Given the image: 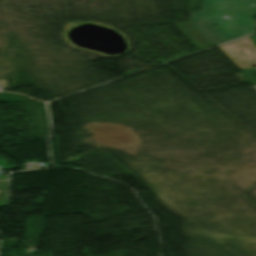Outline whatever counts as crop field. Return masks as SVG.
I'll use <instances>...</instances> for the list:
<instances>
[{"mask_svg":"<svg viewBox=\"0 0 256 256\" xmlns=\"http://www.w3.org/2000/svg\"><path fill=\"white\" fill-rule=\"evenodd\" d=\"M254 15L256 0H202V12L190 13V22L174 25L202 50L254 33Z\"/></svg>","mask_w":256,"mask_h":256,"instance_id":"8a807250","label":"crop field"},{"mask_svg":"<svg viewBox=\"0 0 256 256\" xmlns=\"http://www.w3.org/2000/svg\"><path fill=\"white\" fill-rule=\"evenodd\" d=\"M7 181L0 182V207L6 205Z\"/></svg>","mask_w":256,"mask_h":256,"instance_id":"ac0d7876","label":"crop field"}]
</instances>
